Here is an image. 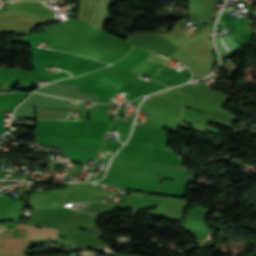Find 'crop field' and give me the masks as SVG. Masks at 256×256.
<instances>
[{
    "mask_svg": "<svg viewBox=\"0 0 256 256\" xmlns=\"http://www.w3.org/2000/svg\"><path fill=\"white\" fill-rule=\"evenodd\" d=\"M222 40V39H221ZM223 42V41H222Z\"/></svg>",
    "mask_w": 256,
    "mask_h": 256,
    "instance_id": "1",
    "label": "crop field"
},
{
    "mask_svg": "<svg viewBox=\"0 0 256 256\" xmlns=\"http://www.w3.org/2000/svg\"><path fill=\"white\" fill-rule=\"evenodd\" d=\"M197 31V30H196Z\"/></svg>",
    "mask_w": 256,
    "mask_h": 256,
    "instance_id": "2",
    "label": "crop field"
}]
</instances>
